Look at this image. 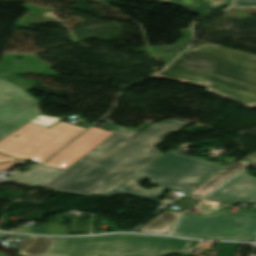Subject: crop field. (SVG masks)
<instances>
[{
  "instance_id": "1",
  "label": "crop field",
  "mask_w": 256,
  "mask_h": 256,
  "mask_svg": "<svg viewBox=\"0 0 256 256\" xmlns=\"http://www.w3.org/2000/svg\"><path fill=\"white\" fill-rule=\"evenodd\" d=\"M186 124L179 120L154 123L132 139L114 133L77 163L38 185L84 195L107 194L164 154L154 146Z\"/></svg>"
},
{
  "instance_id": "2",
  "label": "crop field",
  "mask_w": 256,
  "mask_h": 256,
  "mask_svg": "<svg viewBox=\"0 0 256 256\" xmlns=\"http://www.w3.org/2000/svg\"><path fill=\"white\" fill-rule=\"evenodd\" d=\"M222 168L224 167L168 151L106 196L124 193L156 201L168 187L189 193ZM143 179H150L153 184L160 186L146 191L137 186Z\"/></svg>"
},
{
  "instance_id": "3",
  "label": "crop field",
  "mask_w": 256,
  "mask_h": 256,
  "mask_svg": "<svg viewBox=\"0 0 256 256\" xmlns=\"http://www.w3.org/2000/svg\"><path fill=\"white\" fill-rule=\"evenodd\" d=\"M191 241L170 237L114 234L57 238L43 256H162L186 253Z\"/></svg>"
},
{
  "instance_id": "4",
  "label": "crop field",
  "mask_w": 256,
  "mask_h": 256,
  "mask_svg": "<svg viewBox=\"0 0 256 256\" xmlns=\"http://www.w3.org/2000/svg\"><path fill=\"white\" fill-rule=\"evenodd\" d=\"M212 74L256 87V56L219 47ZM208 91L247 107H256V89L215 76L210 77Z\"/></svg>"
},
{
  "instance_id": "5",
  "label": "crop field",
  "mask_w": 256,
  "mask_h": 256,
  "mask_svg": "<svg viewBox=\"0 0 256 256\" xmlns=\"http://www.w3.org/2000/svg\"><path fill=\"white\" fill-rule=\"evenodd\" d=\"M84 129L63 122L49 129L29 122L0 141V152L40 163ZM18 134L20 136L14 138Z\"/></svg>"
},
{
  "instance_id": "6",
  "label": "crop field",
  "mask_w": 256,
  "mask_h": 256,
  "mask_svg": "<svg viewBox=\"0 0 256 256\" xmlns=\"http://www.w3.org/2000/svg\"><path fill=\"white\" fill-rule=\"evenodd\" d=\"M171 234L208 239L256 240V215L224 210L209 217L182 215Z\"/></svg>"
},
{
  "instance_id": "7",
  "label": "crop field",
  "mask_w": 256,
  "mask_h": 256,
  "mask_svg": "<svg viewBox=\"0 0 256 256\" xmlns=\"http://www.w3.org/2000/svg\"><path fill=\"white\" fill-rule=\"evenodd\" d=\"M39 104L23 89L0 79V140L38 116Z\"/></svg>"
},
{
  "instance_id": "8",
  "label": "crop field",
  "mask_w": 256,
  "mask_h": 256,
  "mask_svg": "<svg viewBox=\"0 0 256 256\" xmlns=\"http://www.w3.org/2000/svg\"><path fill=\"white\" fill-rule=\"evenodd\" d=\"M217 46H203L177 57L172 65L155 75L166 79L185 80L206 88L214 63Z\"/></svg>"
},
{
  "instance_id": "9",
  "label": "crop field",
  "mask_w": 256,
  "mask_h": 256,
  "mask_svg": "<svg viewBox=\"0 0 256 256\" xmlns=\"http://www.w3.org/2000/svg\"><path fill=\"white\" fill-rule=\"evenodd\" d=\"M111 134H113V132L93 127L82 134L64 150L56 154L54 158L44 165L58 167L65 170L108 138Z\"/></svg>"
},
{
  "instance_id": "10",
  "label": "crop field",
  "mask_w": 256,
  "mask_h": 256,
  "mask_svg": "<svg viewBox=\"0 0 256 256\" xmlns=\"http://www.w3.org/2000/svg\"><path fill=\"white\" fill-rule=\"evenodd\" d=\"M209 198L232 205L241 202L253 204L256 202V178L247 176L245 171L232 178Z\"/></svg>"
},
{
  "instance_id": "11",
  "label": "crop field",
  "mask_w": 256,
  "mask_h": 256,
  "mask_svg": "<svg viewBox=\"0 0 256 256\" xmlns=\"http://www.w3.org/2000/svg\"><path fill=\"white\" fill-rule=\"evenodd\" d=\"M248 165L249 163L239 161L225 167L208 181H206L204 184H202L200 187H198L196 190L189 193L187 196L202 200L209 192H211L213 189L218 187L220 184L225 182L231 176L244 169Z\"/></svg>"
},
{
  "instance_id": "12",
  "label": "crop field",
  "mask_w": 256,
  "mask_h": 256,
  "mask_svg": "<svg viewBox=\"0 0 256 256\" xmlns=\"http://www.w3.org/2000/svg\"><path fill=\"white\" fill-rule=\"evenodd\" d=\"M56 169L47 168L43 166L39 167H33L28 172H25L20 175L13 176L11 178H3L0 179L1 183L6 182H15V183H24V184H30V185H37L53 173H55Z\"/></svg>"
},
{
  "instance_id": "13",
  "label": "crop field",
  "mask_w": 256,
  "mask_h": 256,
  "mask_svg": "<svg viewBox=\"0 0 256 256\" xmlns=\"http://www.w3.org/2000/svg\"><path fill=\"white\" fill-rule=\"evenodd\" d=\"M55 239L56 238L25 236L17 250L24 256H42Z\"/></svg>"
},
{
  "instance_id": "14",
  "label": "crop field",
  "mask_w": 256,
  "mask_h": 256,
  "mask_svg": "<svg viewBox=\"0 0 256 256\" xmlns=\"http://www.w3.org/2000/svg\"><path fill=\"white\" fill-rule=\"evenodd\" d=\"M179 215L180 213L165 211L147 224L144 228H142L139 232L168 233Z\"/></svg>"
},
{
  "instance_id": "15",
  "label": "crop field",
  "mask_w": 256,
  "mask_h": 256,
  "mask_svg": "<svg viewBox=\"0 0 256 256\" xmlns=\"http://www.w3.org/2000/svg\"><path fill=\"white\" fill-rule=\"evenodd\" d=\"M223 3H226V0H181L179 5L197 13H203Z\"/></svg>"
},
{
  "instance_id": "16",
  "label": "crop field",
  "mask_w": 256,
  "mask_h": 256,
  "mask_svg": "<svg viewBox=\"0 0 256 256\" xmlns=\"http://www.w3.org/2000/svg\"><path fill=\"white\" fill-rule=\"evenodd\" d=\"M239 244L218 242L215 249L224 251L221 256H234Z\"/></svg>"
},
{
  "instance_id": "17",
  "label": "crop field",
  "mask_w": 256,
  "mask_h": 256,
  "mask_svg": "<svg viewBox=\"0 0 256 256\" xmlns=\"http://www.w3.org/2000/svg\"><path fill=\"white\" fill-rule=\"evenodd\" d=\"M256 6V0H234L232 7H251Z\"/></svg>"
},
{
  "instance_id": "18",
  "label": "crop field",
  "mask_w": 256,
  "mask_h": 256,
  "mask_svg": "<svg viewBox=\"0 0 256 256\" xmlns=\"http://www.w3.org/2000/svg\"><path fill=\"white\" fill-rule=\"evenodd\" d=\"M23 163H24L23 160H19V161H16V162L1 164V165H0V170H6V169H9V168L12 167V166L19 165V164H23Z\"/></svg>"
},
{
  "instance_id": "19",
  "label": "crop field",
  "mask_w": 256,
  "mask_h": 256,
  "mask_svg": "<svg viewBox=\"0 0 256 256\" xmlns=\"http://www.w3.org/2000/svg\"><path fill=\"white\" fill-rule=\"evenodd\" d=\"M47 224H43L37 228L34 229V233H43V234H47Z\"/></svg>"
},
{
  "instance_id": "20",
  "label": "crop field",
  "mask_w": 256,
  "mask_h": 256,
  "mask_svg": "<svg viewBox=\"0 0 256 256\" xmlns=\"http://www.w3.org/2000/svg\"><path fill=\"white\" fill-rule=\"evenodd\" d=\"M213 245L211 242H202L200 247L201 249H212Z\"/></svg>"
},
{
  "instance_id": "21",
  "label": "crop field",
  "mask_w": 256,
  "mask_h": 256,
  "mask_svg": "<svg viewBox=\"0 0 256 256\" xmlns=\"http://www.w3.org/2000/svg\"><path fill=\"white\" fill-rule=\"evenodd\" d=\"M9 160H14V158L4 156V155H0V162L9 161Z\"/></svg>"
},
{
  "instance_id": "22",
  "label": "crop field",
  "mask_w": 256,
  "mask_h": 256,
  "mask_svg": "<svg viewBox=\"0 0 256 256\" xmlns=\"http://www.w3.org/2000/svg\"><path fill=\"white\" fill-rule=\"evenodd\" d=\"M6 234H0V243H2V241L4 240Z\"/></svg>"
},
{
  "instance_id": "23",
  "label": "crop field",
  "mask_w": 256,
  "mask_h": 256,
  "mask_svg": "<svg viewBox=\"0 0 256 256\" xmlns=\"http://www.w3.org/2000/svg\"><path fill=\"white\" fill-rule=\"evenodd\" d=\"M180 0H171V3L179 4Z\"/></svg>"
},
{
  "instance_id": "24",
  "label": "crop field",
  "mask_w": 256,
  "mask_h": 256,
  "mask_svg": "<svg viewBox=\"0 0 256 256\" xmlns=\"http://www.w3.org/2000/svg\"><path fill=\"white\" fill-rule=\"evenodd\" d=\"M197 244H198V242L193 241L190 247H194V246H196Z\"/></svg>"
},
{
  "instance_id": "25",
  "label": "crop field",
  "mask_w": 256,
  "mask_h": 256,
  "mask_svg": "<svg viewBox=\"0 0 256 256\" xmlns=\"http://www.w3.org/2000/svg\"><path fill=\"white\" fill-rule=\"evenodd\" d=\"M153 1H160V2H167V3H170V0H153Z\"/></svg>"
},
{
  "instance_id": "26",
  "label": "crop field",
  "mask_w": 256,
  "mask_h": 256,
  "mask_svg": "<svg viewBox=\"0 0 256 256\" xmlns=\"http://www.w3.org/2000/svg\"><path fill=\"white\" fill-rule=\"evenodd\" d=\"M0 256H5V255H3V254H0Z\"/></svg>"
},
{
  "instance_id": "27",
  "label": "crop field",
  "mask_w": 256,
  "mask_h": 256,
  "mask_svg": "<svg viewBox=\"0 0 256 256\" xmlns=\"http://www.w3.org/2000/svg\"><path fill=\"white\" fill-rule=\"evenodd\" d=\"M27 186H30V185H27ZM31 187H33V186H31Z\"/></svg>"
}]
</instances>
